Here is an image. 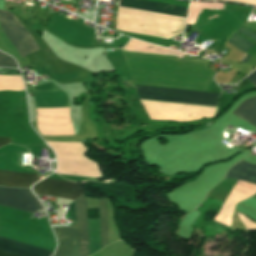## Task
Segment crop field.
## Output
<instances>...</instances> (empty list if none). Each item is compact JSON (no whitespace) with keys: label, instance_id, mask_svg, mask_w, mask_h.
Masks as SVG:
<instances>
[{"label":"crop field","instance_id":"crop-field-1","mask_svg":"<svg viewBox=\"0 0 256 256\" xmlns=\"http://www.w3.org/2000/svg\"><path fill=\"white\" fill-rule=\"evenodd\" d=\"M119 7L185 20L186 9L180 6L139 0H120ZM118 8L115 30L170 39L182 33L184 21Z\"/></svg>","mask_w":256,"mask_h":256},{"label":"crop field","instance_id":"crop-field-2","mask_svg":"<svg viewBox=\"0 0 256 256\" xmlns=\"http://www.w3.org/2000/svg\"><path fill=\"white\" fill-rule=\"evenodd\" d=\"M101 249L107 245L104 199L99 200ZM79 256H89L86 198L75 200ZM58 249L54 256H78L76 229L68 226L53 227Z\"/></svg>","mask_w":256,"mask_h":256},{"label":"crop field","instance_id":"crop-field-3","mask_svg":"<svg viewBox=\"0 0 256 256\" xmlns=\"http://www.w3.org/2000/svg\"><path fill=\"white\" fill-rule=\"evenodd\" d=\"M133 86L135 88V94L137 98H142V99H152V100L216 106L217 97L219 95L217 93L201 92V91L169 89V88L148 87V86H138V85H133ZM142 99H138V100H142ZM152 100H143V101H152ZM162 101H153V102H162ZM172 102H163V103H172ZM182 103H173V104H182ZM192 104H182V105H192ZM202 105H192V106H202ZM212 106H202V107H212ZM212 108H216V107H212Z\"/></svg>","mask_w":256,"mask_h":256},{"label":"crop field","instance_id":"crop-field-4","mask_svg":"<svg viewBox=\"0 0 256 256\" xmlns=\"http://www.w3.org/2000/svg\"><path fill=\"white\" fill-rule=\"evenodd\" d=\"M0 25L21 58L38 50L31 36L24 30L13 14L0 11Z\"/></svg>","mask_w":256,"mask_h":256},{"label":"crop field","instance_id":"crop-field-5","mask_svg":"<svg viewBox=\"0 0 256 256\" xmlns=\"http://www.w3.org/2000/svg\"><path fill=\"white\" fill-rule=\"evenodd\" d=\"M0 205L31 213L41 210L30 189L7 188L0 186Z\"/></svg>","mask_w":256,"mask_h":256},{"label":"crop field","instance_id":"crop-field-6","mask_svg":"<svg viewBox=\"0 0 256 256\" xmlns=\"http://www.w3.org/2000/svg\"><path fill=\"white\" fill-rule=\"evenodd\" d=\"M35 194L52 195L75 200L84 192L77 183L46 178L33 188Z\"/></svg>","mask_w":256,"mask_h":256},{"label":"crop field","instance_id":"crop-field-7","mask_svg":"<svg viewBox=\"0 0 256 256\" xmlns=\"http://www.w3.org/2000/svg\"><path fill=\"white\" fill-rule=\"evenodd\" d=\"M36 107H67L66 94L58 90L53 82L32 87Z\"/></svg>","mask_w":256,"mask_h":256},{"label":"crop field","instance_id":"crop-field-8","mask_svg":"<svg viewBox=\"0 0 256 256\" xmlns=\"http://www.w3.org/2000/svg\"><path fill=\"white\" fill-rule=\"evenodd\" d=\"M0 251L14 253L22 256H50L52 254V251L44 250L41 248L15 242L1 237ZM5 252H0V256H18Z\"/></svg>","mask_w":256,"mask_h":256},{"label":"crop field","instance_id":"crop-field-9","mask_svg":"<svg viewBox=\"0 0 256 256\" xmlns=\"http://www.w3.org/2000/svg\"><path fill=\"white\" fill-rule=\"evenodd\" d=\"M37 181H39L38 174L16 173L0 170V185L30 187Z\"/></svg>","mask_w":256,"mask_h":256},{"label":"crop field","instance_id":"crop-field-10","mask_svg":"<svg viewBox=\"0 0 256 256\" xmlns=\"http://www.w3.org/2000/svg\"><path fill=\"white\" fill-rule=\"evenodd\" d=\"M225 178L244 180L256 184V166L241 161L229 170Z\"/></svg>","mask_w":256,"mask_h":256},{"label":"crop field","instance_id":"crop-field-11","mask_svg":"<svg viewBox=\"0 0 256 256\" xmlns=\"http://www.w3.org/2000/svg\"><path fill=\"white\" fill-rule=\"evenodd\" d=\"M234 113L256 127V98L245 101Z\"/></svg>","mask_w":256,"mask_h":256},{"label":"crop field","instance_id":"crop-field-12","mask_svg":"<svg viewBox=\"0 0 256 256\" xmlns=\"http://www.w3.org/2000/svg\"><path fill=\"white\" fill-rule=\"evenodd\" d=\"M229 43H231L232 45H234L235 47H237L238 49H240L243 52H245L246 50H248L249 48L254 46L253 44H251L250 42L246 41L245 39H243L242 37L238 36L235 33L232 36V38H231Z\"/></svg>","mask_w":256,"mask_h":256},{"label":"crop field","instance_id":"crop-field-13","mask_svg":"<svg viewBox=\"0 0 256 256\" xmlns=\"http://www.w3.org/2000/svg\"><path fill=\"white\" fill-rule=\"evenodd\" d=\"M0 66L17 67L16 63L14 62V60L11 57H9L1 52H0Z\"/></svg>","mask_w":256,"mask_h":256},{"label":"crop field","instance_id":"crop-field-14","mask_svg":"<svg viewBox=\"0 0 256 256\" xmlns=\"http://www.w3.org/2000/svg\"><path fill=\"white\" fill-rule=\"evenodd\" d=\"M237 32H239V33H241V34H243V35H245V36H247V37L256 41V34L250 32V31H248V30H246L242 27Z\"/></svg>","mask_w":256,"mask_h":256},{"label":"crop field","instance_id":"crop-field-15","mask_svg":"<svg viewBox=\"0 0 256 256\" xmlns=\"http://www.w3.org/2000/svg\"><path fill=\"white\" fill-rule=\"evenodd\" d=\"M247 78L251 80V82L254 84L256 87V71H254L251 75H249Z\"/></svg>","mask_w":256,"mask_h":256},{"label":"crop field","instance_id":"crop-field-16","mask_svg":"<svg viewBox=\"0 0 256 256\" xmlns=\"http://www.w3.org/2000/svg\"><path fill=\"white\" fill-rule=\"evenodd\" d=\"M10 139L5 137H0V147L9 143Z\"/></svg>","mask_w":256,"mask_h":256},{"label":"crop field","instance_id":"crop-field-17","mask_svg":"<svg viewBox=\"0 0 256 256\" xmlns=\"http://www.w3.org/2000/svg\"><path fill=\"white\" fill-rule=\"evenodd\" d=\"M246 55V54H245ZM245 57V56H244ZM251 59V56L246 55V57L243 59L244 62L248 63V61Z\"/></svg>","mask_w":256,"mask_h":256},{"label":"crop field","instance_id":"crop-field-18","mask_svg":"<svg viewBox=\"0 0 256 256\" xmlns=\"http://www.w3.org/2000/svg\"><path fill=\"white\" fill-rule=\"evenodd\" d=\"M57 174H61L58 170L56 171Z\"/></svg>","mask_w":256,"mask_h":256}]
</instances>
